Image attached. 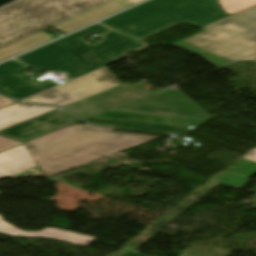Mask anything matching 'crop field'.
<instances>
[{
  "label": "crop field",
  "mask_w": 256,
  "mask_h": 256,
  "mask_svg": "<svg viewBox=\"0 0 256 256\" xmlns=\"http://www.w3.org/2000/svg\"><path fill=\"white\" fill-rule=\"evenodd\" d=\"M112 130L73 124L24 144L45 176L51 177L159 138Z\"/></svg>",
  "instance_id": "8a807250"
},
{
  "label": "crop field",
  "mask_w": 256,
  "mask_h": 256,
  "mask_svg": "<svg viewBox=\"0 0 256 256\" xmlns=\"http://www.w3.org/2000/svg\"><path fill=\"white\" fill-rule=\"evenodd\" d=\"M243 158L256 162V148L252 149L250 152L245 154Z\"/></svg>",
  "instance_id": "733c2abd"
},
{
  "label": "crop field",
  "mask_w": 256,
  "mask_h": 256,
  "mask_svg": "<svg viewBox=\"0 0 256 256\" xmlns=\"http://www.w3.org/2000/svg\"><path fill=\"white\" fill-rule=\"evenodd\" d=\"M117 85L120 83L103 67L58 87L33 95L22 102L64 106Z\"/></svg>",
  "instance_id": "d8731c3e"
},
{
  "label": "crop field",
  "mask_w": 256,
  "mask_h": 256,
  "mask_svg": "<svg viewBox=\"0 0 256 256\" xmlns=\"http://www.w3.org/2000/svg\"><path fill=\"white\" fill-rule=\"evenodd\" d=\"M223 10L232 15L256 5V0H218Z\"/></svg>",
  "instance_id": "22f410ed"
},
{
  "label": "crop field",
  "mask_w": 256,
  "mask_h": 256,
  "mask_svg": "<svg viewBox=\"0 0 256 256\" xmlns=\"http://www.w3.org/2000/svg\"><path fill=\"white\" fill-rule=\"evenodd\" d=\"M57 109L56 107L14 103L0 109V131L42 114Z\"/></svg>",
  "instance_id": "3316defc"
},
{
  "label": "crop field",
  "mask_w": 256,
  "mask_h": 256,
  "mask_svg": "<svg viewBox=\"0 0 256 256\" xmlns=\"http://www.w3.org/2000/svg\"><path fill=\"white\" fill-rule=\"evenodd\" d=\"M108 30L99 24L91 25L16 59L36 70L64 73L68 81L120 59L131 49L147 46L114 31L102 36L105 40L94 46L83 39L92 33L100 35Z\"/></svg>",
  "instance_id": "ac0d7876"
},
{
  "label": "crop field",
  "mask_w": 256,
  "mask_h": 256,
  "mask_svg": "<svg viewBox=\"0 0 256 256\" xmlns=\"http://www.w3.org/2000/svg\"><path fill=\"white\" fill-rule=\"evenodd\" d=\"M110 0H18L0 8V47Z\"/></svg>",
  "instance_id": "f4fd0767"
},
{
  "label": "crop field",
  "mask_w": 256,
  "mask_h": 256,
  "mask_svg": "<svg viewBox=\"0 0 256 256\" xmlns=\"http://www.w3.org/2000/svg\"><path fill=\"white\" fill-rule=\"evenodd\" d=\"M216 179L220 180L219 183L222 185L234 187V188H241L243 187L246 182L247 178L244 176H240L234 173L230 172H223L220 176H218Z\"/></svg>",
  "instance_id": "cbeb9de0"
},
{
  "label": "crop field",
  "mask_w": 256,
  "mask_h": 256,
  "mask_svg": "<svg viewBox=\"0 0 256 256\" xmlns=\"http://www.w3.org/2000/svg\"><path fill=\"white\" fill-rule=\"evenodd\" d=\"M130 5L132 4L126 0H113L88 12H85L79 16H76L70 20L60 23L54 27L67 33L76 28L104 18Z\"/></svg>",
  "instance_id": "28ad6ade"
},
{
  "label": "crop field",
  "mask_w": 256,
  "mask_h": 256,
  "mask_svg": "<svg viewBox=\"0 0 256 256\" xmlns=\"http://www.w3.org/2000/svg\"><path fill=\"white\" fill-rule=\"evenodd\" d=\"M237 166L234 168L233 166ZM232 167H230L227 171H231L237 174H241L244 176H250L256 172V163L252 161H248L245 159H240L236 162Z\"/></svg>",
  "instance_id": "5142ce71"
},
{
  "label": "crop field",
  "mask_w": 256,
  "mask_h": 256,
  "mask_svg": "<svg viewBox=\"0 0 256 256\" xmlns=\"http://www.w3.org/2000/svg\"><path fill=\"white\" fill-rule=\"evenodd\" d=\"M226 16L216 0H150L100 23L142 40L182 22L202 27Z\"/></svg>",
  "instance_id": "34b2d1b8"
},
{
  "label": "crop field",
  "mask_w": 256,
  "mask_h": 256,
  "mask_svg": "<svg viewBox=\"0 0 256 256\" xmlns=\"http://www.w3.org/2000/svg\"><path fill=\"white\" fill-rule=\"evenodd\" d=\"M86 100L105 110L118 109L203 119L211 117L185 94L173 89L154 93L137 86L121 85Z\"/></svg>",
  "instance_id": "dd49c442"
},
{
  "label": "crop field",
  "mask_w": 256,
  "mask_h": 256,
  "mask_svg": "<svg viewBox=\"0 0 256 256\" xmlns=\"http://www.w3.org/2000/svg\"><path fill=\"white\" fill-rule=\"evenodd\" d=\"M176 45L202 56L217 68L256 54V6L210 24Z\"/></svg>",
  "instance_id": "412701ff"
},
{
  "label": "crop field",
  "mask_w": 256,
  "mask_h": 256,
  "mask_svg": "<svg viewBox=\"0 0 256 256\" xmlns=\"http://www.w3.org/2000/svg\"><path fill=\"white\" fill-rule=\"evenodd\" d=\"M53 37L48 34L40 31L36 34H33L29 37H26L22 40H19L15 43H12L8 46H5L0 49V61L9 58L13 55H16L22 51H25L29 48H32L36 45H39L45 41L52 39Z\"/></svg>",
  "instance_id": "d1516ede"
},
{
  "label": "crop field",
  "mask_w": 256,
  "mask_h": 256,
  "mask_svg": "<svg viewBox=\"0 0 256 256\" xmlns=\"http://www.w3.org/2000/svg\"><path fill=\"white\" fill-rule=\"evenodd\" d=\"M42 174V171L24 146V144L0 153V178L23 177ZM0 232L9 236L49 237L86 246L96 238L56 229L45 228L40 232H26L2 220Z\"/></svg>",
  "instance_id": "e52e79f7"
},
{
  "label": "crop field",
  "mask_w": 256,
  "mask_h": 256,
  "mask_svg": "<svg viewBox=\"0 0 256 256\" xmlns=\"http://www.w3.org/2000/svg\"><path fill=\"white\" fill-rule=\"evenodd\" d=\"M243 60H256V55H253V56L248 57V58L243 59Z\"/></svg>",
  "instance_id": "bc2a9ffb"
},
{
  "label": "crop field",
  "mask_w": 256,
  "mask_h": 256,
  "mask_svg": "<svg viewBox=\"0 0 256 256\" xmlns=\"http://www.w3.org/2000/svg\"><path fill=\"white\" fill-rule=\"evenodd\" d=\"M26 69L28 68L13 60L0 65V93L20 101L30 95L60 85L52 81L37 87L15 75Z\"/></svg>",
  "instance_id": "5a996713"
},
{
  "label": "crop field",
  "mask_w": 256,
  "mask_h": 256,
  "mask_svg": "<svg viewBox=\"0 0 256 256\" xmlns=\"http://www.w3.org/2000/svg\"><path fill=\"white\" fill-rule=\"evenodd\" d=\"M12 103H14V101L7 99L3 96H0V108L7 106L9 104H12ZM19 143H21V142H18V141H15V140H12V139H9L7 137L0 135V151L4 150L6 148L12 147L14 145H17Z\"/></svg>",
  "instance_id": "d9b57169"
},
{
  "label": "crop field",
  "mask_w": 256,
  "mask_h": 256,
  "mask_svg": "<svg viewBox=\"0 0 256 256\" xmlns=\"http://www.w3.org/2000/svg\"><path fill=\"white\" fill-rule=\"evenodd\" d=\"M120 256H148V255H142V254H135V253H129V252H124Z\"/></svg>",
  "instance_id": "4a817a6b"
},
{
  "label": "crop field",
  "mask_w": 256,
  "mask_h": 256,
  "mask_svg": "<svg viewBox=\"0 0 256 256\" xmlns=\"http://www.w3.org/2000/svg\"><path fill=\"white\" fill-rule=\"evenodd\" d=\"M128 1L133 3V4H136V3L140 2V1H143V0H128Z\"/></svg>",
  "instance_id": "214f88e0"
},
{
  "label": "crop field",
  "mask_w": 256,
  "mask_h": 256,
  "mask_svg": "<svg viewBox=\"0 0 256 256\" xmlns=\"http://www.w3.org/2000/svg\"><path fill=\"white\" fill-rule=\"evenodd\" d=\"M9 1H11V0H0V5H2V4H4V3H7V2H9Z\"/></svg>",
  "instance_id": "92a150f3"
}]
</instances>
